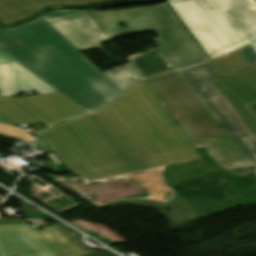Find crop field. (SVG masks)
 Masks as SVG:
<instances>
[{"label": "crop field", "mask_w": 256, "mask_h": 256, "mask_svg": "<svg viewBox=\"0 0 256 256\" xmlns=\"http://www.w3.org/2000/svg\"><path fill=\"white\" fill-rule=\"evenodd\" d=\"M226 79L233 89L250 104H256V70L252 66L226 77Z\"/></svg>", "instance_id": "crop-field-13"}, {"label": "crop field", "mask_w": 256, "mask_h": 256, "mask_svg": "<svg viewBox=\"0 0 256 256\" xmlns=\"http://www.w3.org/2000/svg\"><path fill=\"white\" fill-rule=\"evenodd\" d=\"M252 46L256 50V43L252 44Z\"/></svg>", "instance_id": "crop-field-22"}, {"label": "crop field", "mask_w": 256, "mask_h": 256, "mask_svg": "<svg viewBox=\"0 0 256 256\" xmlns=\"http://www.w3.org/2000/svg\"><path fill=\"white\" fill-rule=\"evenodd\" d=\"M0 112L18 125L40 121L47 127L86 113L58 92L26 98H0Z\"/></svg>", "instance_id": "crop-field-7"}, {"label": "crop field", "mask_w": 256, "mask_h": 256, "mask_svg": "<svg viewBox=\"0 0 256 256\" xmlns=\"http://www.w3.org/2000/svg\"><path fill=\"white\" fill-rule=\"evenodd\" d=\"M254 107H255V109H256V105H255Z\"/></svg>", "instance_id": "crop-field-26"}, {"label": "crop field", "mask_w": 256, "mask_h": 256, "mask_svg": "<svg viewBox=\"0 0 256 256\" xmlns=\"http://www.w3.org/2000/svg\"><path fill=\"white\" fill-rule=\"evenodd\" d=\"M84 256H115V255H113L112 253H110L106 250H99V251H96V252H93V253H90V254H87Z\"/></svg>", "instance_id": "crop-field-20"}, {"label": "crop field", "mask_w": 256, "mask_h": 256, "mask_svg": "<svg viewBox=\"0 0 256 256\" xmlns=\"http://www.w3.org/2000/svg\"><path fill=\"white\" fill-rule=\"evenodd\" d=\"M196 148L206 147L209 156L224 170L251 165L202 105L177 71L143 80Z\"/></svg>", "instance_id": "crop-field-4"}, {"label": "crop field", "mask_w": 256, "mask_h": 256, "mask_svg": "<svg viewBox=\"0 0 256 256\" xmlns=\"http://www.w3.org/2000/svg\"><path fill=\"white\" fill-rule=\"evenodd\" d=\"M40 136L70 172L195 148L142 81L107 107Z\"/></svg>", "instance_id": "crop-field-1"}, {"label": "crop field", "mask_w": 256, "mask_h": 256, "mask_svg": "<svg viewBox=\"0 0 256 256\" xmlns=\"http://www.w3.org/2000/svg\"><path fill=\"white\" fill-rule=\"evenodd\" d=\"M0 134L17 138L20 140H24L27 142H31V143L33 142V139H34L33 137H31L29 134H27L25 131H23L20 128L13 127L6 124H1V123H0Z\"/></svg>", "instance_id": "crop-field-18"}, {"label": "crop field", "mask_w": 256, "mask_h": 256, "mask_svg": "<svg viewBox=\"0 0 256 256\" xmlns=\"http://www.w3.org/2000/svg\"><path fill=\"white\" fill-rule=\"evenodd\" d=\"M237 52L247 63L248 66L256 63V51L252 48L251 45L244 47Z\"/></svg>", "instance_id": "crop-field-19"}, {"label": "crop field", "mask_w": 256, "mask_h": 256, "mask_svg": "<svg viewBox=\"0 0 256 256\" xmlns=\"http://www.w3.org/2000/svg\"><path fill=\"white\" fill-rule=\"evenodd\" d=\"M111 1L120 0H0V21L13 23L50 5H92Z\"/></svg>", "instance_id": "crop-field-10"}, {"label": "crop field", "mask_w": 256, "mask_h": 256, "mask_svg": "<svg viewBox=\"0 0 256 256\" xmlns=\"http://www.w3.org/2000/svg\"><path fill=\"white\" fill-rule=\"evenodd\" d=\"M17 64H11L13 96H17V92L32 89H35L39 94L55 91Z\"/></svg>", "instance_id": "crop-field-12"}, {"label": "crop field", "mask_w": 256, "mask_h": 256, "mask_svg": "<svg viewBox=\"0 0 256 256\" xmlns=\"http://www.w3.org/2000/svg\"><path fill=\"white\" fill-rule=\"evenodd\" d=\"M0 51L87 112L124 91L41 17L0 28Z\"/></svg>", "instance_id": "crop-field-2"}, {"label": "crop field", "mask_w": 256, "mask_h": 256, "mask_svg": "<svg viewBox=\"0 0 256 256\" xmlns=\"http://www.w3.org/2000/svg\"><path fill=\"white\" fill-rule=\"evenodd\" d=\"M0 96H12L10 64L0 65Z\"/></svg>", "instance_id": "crop-field-17"}, {"label": "crop field", "mask_w": 256, "mask_h": 256, "mask_svg": "<svg viewBox=\"0 0 256 256\" xmlns=\"http://www.w3.org/2000/svg\"><path fill=\"white\" fill-rule=\"evenodd\" d=\"M253 67L256 69V64H255V65H253Z\"/></svg>", "instance_id": "crop-field-24"}, {"label": "crop field", "mask_w": 256, "mask_h": 256, "mask_svg": "<svg viewBox=\"0 0 256 256\" xmlns=\"http://www.w3.org/2000/svg\"><path fill=\"white\" fill-rule=\"evenodd\" d=\"M207 110L256 167V137L220 93L213 81L222 78L211 62L178 71Z\"/></svg>", "instance_id": "crop-field-6"}, {"label": "crop field", "mask_w": 256, "mask_h": 256, "mask_svg": "<svg viewBox=\"0 0 256 256\" xmlns=\"http://www.w3.org/2000/svg\"><path fill=\"white\" fill-rule=\"evenodd\" d=\"M211 59L256 40L252 0H167Z\"/></svg>", "instance_id": "crop-field-5"}, {"label": "crop field", "mask_w": 256, "mask_h": 256, "mask_svg": "<svg viewBox=\"0 0 256 256\" xmlns=\"http://www.w3.org/2000/svg\"><path fill=\"white\" fill-rule=\"evenodd\" d=\"M15 62V61H14ZM12 60H10L8 57H6L4 54L0 52V64L4 63H14Z\"/></svg>", "instance_id": "crop-field-21"}, {"label": "crop field", "mask_w": 256, "mask_h": 256, "mask_svg": "<svg viewBox=\"0 0 256 256\" xmlns=\"http://www.w3.org/2000/svg\"><path fill=\"white\" fill-rule=\"evenodd\" d=\"M214 83L256 135V111L253 107L242 97L236 94L224 78Z\"/></svg>", "instance_id": "crop-field-11"}, {"label": "crop field", "mask_w": 256, "mask_h": 256, "mask_svg": "<svg viewBox=\"0 0 256 256\" xmlns=\"http://www.w3.org/2000/svg\"><path fill=\"white\" fill-rule=\"evenodd\" d=\"M84 254H87V252L69 243L30 256H80Z\"/></svg>", "instance_id": "crop-field-16"}, {"label": "crop field", "mask_w": 256, "mask_h": 256, "mask_svg": "<svg viewBox=\"0 0 256 256\" xmlns=\"http://www.w3.org/2000/svg\"><path fill=\"white\" fill-rule=\"evenodd\" d=\"M254 172H255V174H256V168H255Z\"/></svg>", "instance_id": "crop-field-25"}, {"label": "crop field", "mask_w": 256, "mask_h": 256, "mask_svg": "<svg viewBox=\"0 0 256 256\" xmlns=\"http://www.w3.org/2000/svg\"><path fill=\"white\" fill-rule=\"evenodd\" d=\"M41 17L79 51L100 48L99 44L109 42L86 10L51 11Z\"/></svg>", "instance_id": "crop-field-8"}, {"label": "crop field", "mask_w": 256, "mask_h": 256, "mask_svg": "<svg viewBox=\"0 0 256 256\" xmlns=\"http://www.w3.org/2000/svg\"><path fill=\"white\" fill-rule=\"evenodd\" d=\"M213 62L224 77L248 67L237 52L213 60Z\"/></svg>", "instance_id": "crop-field-15"}, {"label": "crop field", "mask_w": 256, "mask_h": 256, "mask_svg": "<svg viewBox=\"0 0 256 256\" xmlns=\"http://www.w3.org/2000/svg\"><path fill=\"white\" fill-rule=\"evenodd\" d=\"M104 73L124 90L139 80L129 63Z\"/></svg>", "instance_id": "crop-field-14"}, {"label": "crop field", "mask_w": 256, "mask_h": 256, "mask_svg": "<svg viewBox=\"0 0 256 256\" xmlns=\"http://www.w3.org/2000/svg\"><path fill=\"white\" fill-rule=\"evenodd\" d=\"M253 1H254L255 6H256V0H253Z\"/></svg>", "instance_id": "crop-field-23"}, {"label": "crop field", "mask_w": 256, "mask_h": 256, "mask_svg": "<svg viewBox=\"0 0 256 256\" xmlns=\"http://www.w3.org/2000/svg\"><path fill=\"white\" fill-rule=\"evenodd\" d=\"M201 160L195 149L160 154L111 165L73 172L82 176L85 183L98 182L161 167Z\"/></svg>", "instance_id": "crop-field-9"}, {"label": "crop field", "mask_w": 256, "mask_h": 256, "mask_svg": "<svg viewBox=\"0 0 256 256\" xmlns=\"http://www.w3.org/2000/svg\"><path fill=\"white\" fill-rule=\"evenodd\" d=\"M87 11L110 40L136 32H156L154 41L159 47L130 59L142 78L208 60L165 3L130 10Z\"/></svg>", "instance_id": "crop-field-3"}]
</instances>
